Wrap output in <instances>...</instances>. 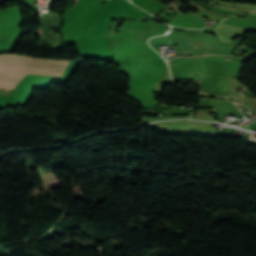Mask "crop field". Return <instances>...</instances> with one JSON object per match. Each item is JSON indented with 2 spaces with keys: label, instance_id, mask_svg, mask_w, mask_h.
I'll return each instance as SVG.
<instances>
[{
  "label": "crop field",
  "instance_id": "8a807250",
  "mask_svg": "<svg viewBox=\"0 0 256 256\" xmlns=\"http://www.w3.org/2000/svg\"><path fill=\"white\" fill-rule=\"evenodd\" d=\"M79 61L49 60L2 54L0 55V88L14 89L26 74L70 77Z\"/></svg>",
  "mask_w": 256,
  "mask_h": 256
}]
</instances>
